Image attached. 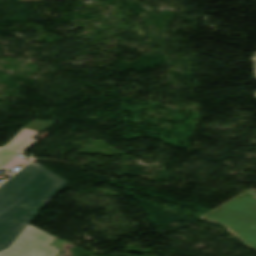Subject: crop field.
Here are the masks:
<instances>
[{
  "mask_svg": "<svg viewBox=\"0 0 256 256\" xmlns=\"http://www.w3.org/2000/svg\"><path fill=\"white\" fill-rule=\"evenodd\" d=\"M67 181L30 163L0 186V256H56V238L29 223Z\"/></svg>",
  "mask_w": 256,
  "mask_h": 256,
  "instance_id": "1",
  "label": "crop field"
},
{
  "mask_svg": "<svg viewBox=\"0 0 256 256\" xmlns=\"http://www.w3.org/2000/svg\"><path fill=\"white\" fill-rule=\"evenodd\" d=\"M203 218L228 226L245 243L256 249V198L253 194L242 195Z\"/></svg>",
  "mask_w": 256,
  "mask_h": 256,
  "instance_id": "2",
  "label": "crop field"
},
{
  "mask_svg": "<svg viewBox=\"0 0 256 256\" xmlns=\"http://www.w3.org/2000/svg\"><path fill=\"white\" fill-rule=\"evenodd\" d=\"M52 125H54L52 122L35 120L16 134L3 148L0 147V169L11 170L16 166L23 167L24 164L29 162L28 159L17 156L18 153L26 150L35 142L32 139L33 137Z\"/></svg>",
  "mask_w": 256,
  "mask_h": 256,
  "instance_id": "3",
  "label": "crop field"
},
{
  "mask_svg": "<svg viewBox=\"0 0 256 256\" xmlns=\"http://www.w3.org/2000/svg\"><path fill=\"white\" fill-rule=\"evenodd\" d=\"M252 60L254 61L255 71H256V55L252 58ZM255 97H256V94H255Z\"/></svg>",
  "mask_w": 256,
  "mask_h": 256,
  "instance_id": "4",
  "label": "crop field"
},
{
  "mask_svg": "<svg viewBox=\"0 0 256 256\" xmlns=\"http://www.w3.org/2000/svg\"><path fill=\"white\" fill-rule=\"evenodd\" d=\"M20 1H41V0H20Z\"/></svg>",
  "mask_w": 256,
  "mask_h": 256,
  "instance_id": "5",
  "label": "crop field"
}]
</instances>
